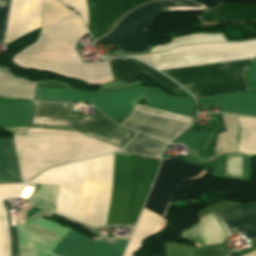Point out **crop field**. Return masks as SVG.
<instances>
[{
	"mask_svg": "<svg viewBox=\"0 0 256 256\" xmlns=\"http://www.w3.org/2000/svg\"><path fill=\"white\" fill-rule=\"evenodd\" d=\"M135 110L144 112L147 114L159 116L162 118L170 119V120L183 121V122H189V123H191V120H192V118H188V117H184V116H180V115H176V114H172V113H168V112H164V111H160L152 108H147L139 105L136 106Z\"/></svg>",
	"mask_w": 256,
	"mask_h": 256,
	"instance_id": "25",
	"label": "crop field"
},
{
	"mask_svg": "<svg viewBox=\"0 0 256 256\" xmlns=\"http://www.w3.org/2000/svg\"><path fill=\"white\" fill-rule=\"evenodd\" d=\"M202 21H255L256 5L219 4L216 9L199 15Z\"/></svg>",
	"mask_w": 256,
	"mask_h": 256,
	"instance_id": "16",
	"label": "crop field"
},
{
	"mask_svg": "<svg viewBox=\"0 0 256 256\" xmlns=\"http://www.w3.org/2000/svg\"><path fill=\"white\" fill-rule=\"evenodd\" d=\"M77 11L92 32L93 40L110 31L127 13L153 0H61Z\"/></svg>",
	"mask_w": 256,
	"mask_h": 256,
	"instance_id": "8",
	"label": "crop field"
},
{
	"mask_svg": "<svg viewBox=\"0 0 256 256\" xmlns=\"http://www.w3.org/2000/svg\"><path fill=\"white\" fill-rule=\"evenodd\" d=\"M109 63L115 80L129 78L140 72H146L150 76L156 78L157 80L169 86L174 91L181 89L179 86H177L175 83H173L171 80H169L162 74L158 73L149 66L140 63L136 60L114 59Z\"/></svg>",
	"mask_w": 256,
	"mask_h": 256,
	"instance_id": "17",
	"label": "crop field"
},
{
	"mask_svg": "<svg viewBox=\"0 0 256 256\" xmlns=\"http://www.w3.org/2000/svg\"><path fill=\"white\" fill-rule=\"evenodd\" d=\"M164 12L167 9L161 0L146 4L124 17L108 35L95 44L112 41L124 52H142L151 40L152 20Z\"/></svg>",
	"mask_w": 256,
	"mask_h": 256,
	"instance_id": "7",
	"label": "crop field"
},
{
	"mask_svg": "<svg viewBox=\"0 0 256 256\" xmlns=\"http://www.w3.org/2000/svg\"><path fill=\"white\" fill-rule=\"evenodd\" d=\"M256 40L187 45L163 53L129 56L162 70L254 58Z\"/></svg>",
	"mask_w": 256,
	"mask_h": 256,
	"instance_id": "6",
	"label": "crop field"
},
{
	"mask_svg": "<svg viewBox=\"0 0 256 256\" xmlns=\"http://www.w3.org/2000/svg\"><path fill=\"white\" fill-rule=\"evenodd\" d=\"M167 7H175V6H190V7H203L193 1L187 0H163Z\"/></svg>",
	"mask_w": 256,
	"mask_h": 256,
	"instance_id": "28",
	"label": "crop field"
},
{
	"mask_svg": "<svg viewBox=\"0 0 256 256\" xmlns=\"http://www.w3.org/2000/svg\"><path fill=\"white\" fill-rule=\"evenodd\" d=\"M44 0H12L5 44L39 27Z\"/></svg>",
	"mask_w": 256,
	"mask_h": 256,
	"instance_id": "13",
	"label": "crop field"
},
{
	"mask_svg": "<svg viewBox=\"0 0 256 256\" xmlns=\"http://www.w3.org/2000/svg\"><path fill=\"white\" fill-rule=\"evenodd\" d=\"M127 242L118 239L113 244L90 242L85 236L70 230L52 252L62 256H122Z\"/></svg>",
	"mask_w": 256,
	"mask_h": 256,
	"instance_id": "11",
	"label": "crop field"
},
{
	"mask_svg": "<svg viewBox=\"0 0 256 256\" xmlns=\"http://www.w3.org/2000/svg\"><path fill=\"white\" fill-rule=\"evenodd\" d=\"M148 107L158 108L186 116H191L193 101L168 95L159 88L146 87Z\"/></svg>",
	"mask_w": 256,
	"mask_h": 256,
	"instance_id": "18",
	"label": "crop field"
},
{
	"mask_svg": "<svg viewBox=\"0 0 256 256\" xmlns=\"http://www.w3.org/2000/svg\"><path fill=\"white\" fill-rule=\"evenodd\" d=\"M159 160L115 153L43 172L33 184L59 186L56 213L90 226L135 224Z\"/></svg>",
	"mask_w": 256,
	"mask_h": 256,
	"instance_id": "1",
	"label": "crop field"
},
{
	"mask_svg": "<svg viewBox=\"0 0 256 256\" xmlns=\"http://www.w3.org/2000/svg\"><path fill=\"white\" fill-rule=\"evenodd\" d=\"M188 256H226V254L223 248H219L207 251L188 253Z\"/></svg>",
	"mask_w": 256,
	"mask_h": 256,
	"instance_id": "29",
	"label": "crop field"
},
{
	"mask_svg": "<svg viewBox=\"0 0 256 256\" xmlns=\"http://www.w3.org/2000/svg\"><path fill=\"white\" fill-rule=\"evenodd\" d=\"M20 182L21 174L14 142L0 138V183Z\"/></svg>",
	"mask_w": 256,
	"mask_h": 256,
	"instance_id": "20",
	"label": "crop field"
},
{
	"mask_svg": "<svg viewBox=\"0 0 256 256\" xmlns=\"http://www.w3.org/2000/svg\"><path fill=\"white\" fill-rule=\"evenodd\" d=\"M213 214L227 236L241 231L246 238L256 237V204L228 207Z\"/></svg>",
	"mask_w": 256,
	"mask_h": 256,
	"instance_id": "15",
	"label": "crop field"
},
{
	"mask_svg": "<svg viewBox=\"0 0 256 256\" xmlns=\"http://www.w3.org/2000/svg\"><path fill=\"white\" fill-rule=\"evenodd\" d=\"M164 145L165 143L147 136L137 135L120 151L159 159L161 149Z\"/></svg>",
	"mask_w": 256,
	"mask_h": 256,
	"instance_id": "22",
	"label": "crop field"
},
{
	"mask_svg": "<svg viewBox=\"0 0 256 256\" xmlns=\"http://www.w3.org/2000/svg\"><path fill=\"white\" fill-rule=\"evenodd\" d=\"M209 135V132L189 129L184 134H182L178 139H176L173 143H182L188 146L189 148L202 151Z\"/></svg>",
	"mask_w": 256,
	"mask_h": 256,
	"instance_id": "24",
	"label": "crop field"
},
{
	"mask_svg": "<svg viewBox=\"0 0 256 256\" xmlns=\"http://www.w3.org/2000/svg\"><path fill=\"white\" fill-rule=\"evenodd\" d=\"M35 84L36 82L15 77L8 69L0 67V95L34 100Z\"/></svg>",
	"mask_w": 256,
	"mask_h": 256,
	"instance_id": "19",
	"label": "crop field"
},
{
	"mask_svg": "<svg viewBox=\"0 0 256 256\" xmlns=\"http://www.w3.org/2000/svg\"><path fill=\"white\" fill-rule=\"evenodd\" d=\"M10 226L12 228L13 239H14V249H13V239L11 228L5 216L4 210ZM0 201V256H12V249H13V256H18V231L17 225L14 221L13 215L9 212L6 201Z\"/></svg>",
	"mask_w": 256,
	"mask_h": 256,
	"instance_id": "21",
	"label": "crop field"
},
{
	"mask_svg": "<svg viewBox=\"0 0 256 256\" xmlns=\"http://www.w3.org/2000/svg\"><path fill=\"white\" fill-rule=\"evenodd\" d=\"M33 103L0 105V127H27ZM69 103L34 102L28 127L76 130L123 147L136 133L96 117L68 113ZM12 128L23 182L51 166L119 148L76 131Z\"/></svg>",
	"mask_w": 256,
	"mask_h": 256,
	"instance_id": "2",
	"label": "crop field"
},
{
	"mask_svg": "<svg viewBox=\"0 0 256 256\" xmlns=\"http://www.w3.org/2000/svg\"><path fill=\"white\" fill-rule=\"evenodd\" d=\"M87 33L77 14L59 0H45L38 40L15 55L12 62L81 80L112 78L107 62L82 63L74 51L76 40Z\"/></svg>",
	"mask_w": 256,
	"mask_h": 256,
	"instance_id": "3",
	"label": "crop field"
},
{
	"mask_svg": "<svg viewBox=\"0 0 256 256\" xmlns=\"http://www.w3.org/2000/svg\"><path fill=\"white\" fill-rule=\"evenodd\" d=\"M253 59L162 70L195 97L250 90L246 72Z\"/></svg>",
	"mask_w": 256,
	"mask_h": 256,
	"instance_id": "5",
	"label": "crop field"
},
{
	"mask_svg": "<svg viewBox=\"0 0 256 256\" xmlns=\"http://www.w3.org/2000/svg\"><path fill=\"white\" fill-rule=\"evenodd\" d=\"M194 1L204 4L208 9L216 7L220 2L218 0H194Z\"/></svg>",
	"mask_w": 256,
	"mask_h": 256,
	"instance_id": "30",
	"label": "crop field"
},
{
	"mask_svg": "<svg viewBox=\"0 0 256 256\" xmlns=\"http://www.w3.org/2000/svg\"><path fill=\"white\" fill-rule=\"evenodd\" d=\"M200 172V166L182 162L176 158L162 161L145 208L163 216L168 201L178 190L181 181L195 177ZM161 221V218L144 209L124 256H131L134 251L139 249L141 241L155 233Z\"/></svg>",
	"mask_w": 256,
	"mask_h": 256,
	"instance_id": "4",
	"label": "crop field"
},
{
	"mask_svg": "<svg viewBox=\"0 0 256 256\" xmlns=\"http://www.w3.org/2000/svg\"><path fill=\"white\" fill-rule=\"evenodd\" d=\"M21 188L20 184H0V199L15 197Z\"/></svg>",
	"mask_w": 256,
	"mask_h": 256,
	"instance_id": "26",
	"label": "crop field"
},
{
	"mask_svg": "<svg viewBox=\"0 0 256 256\" xmlns=\"http://www.w3.org/2000/svg\"><path fill=\"white\" fill-rule=\"evenodd\" d=\"M143 87L108 93L37 88L35 99L85 101L94 104L110 117H126L130 101L143 97Z\"/></svg>",
	"mask_w": 256,
	"mask_h": 256,
	"instance_id": "9",
	"label": "crop field"
},
{
	"mask_svg": "<svg viewBox=\"0 0 256 256\" xmlns=\"http://www.w3.org/2000/svg\"><path fill=\"white\" fill-rule=\"evenodd\" d=\"M172 42L166 44V45H160L155 46L151 50V52L156 51H164L168 49H172L177 46L186 45L190 43H198V42H221L225 41L222 37V35H216V34H204V33H196L184 37H179L175 39H171Z\"/></svg>",
	"mask_w": 256,
	"mask_h": 256,
	"instance_id": "23",
	"label": "crop field"
},
{
	"mask_svg": "<svg viewBox=\"0 0 256 256\" xmlns=\"http://www.w3.org/2000/svg\"><path fill=\"white\" fill-rule=\"evenodd\" d=\"M190 124L170 121L133 111L121 126L170 142Z\"/></svg>",
	"mask_w": 256,
	"mask_h": 256,
	"instance_id": "14",
	"label": "crop field"
},
{
	"mask_svg": "<svg viewBox=\"0 0 256 256\" xmlns=\"http://www.w3.org/2000/svg\"><path fill=\"white\" fill-rule=\"evenodd\" d=\"M9 0H0V41L6 25V15L8 13Z\"/></svg>",
	"mask_w": 256,
	"mask_h": 256,
	"instance_id": "27",
	"label": "crop field"
},
{
	"mask_svg": "<svg viewBox=\"0 0 256 256\" xmlns=\"http://www.w3.org/2000/svg\"><path fill=\"white\" fill-rule=\"evenodd\" d=\"M246 76L250 89L256 90V57ZM198 100L201 108L221 105L223 112L256 116V91L216 95Z\"/></svg>",
	"mask_w": 256,
	"mask_h": 256,
	"instance_id": "12",
	"label": "crop field"
},
{
	"mask_svg": "<svg viewBox=\"0 0 256 256\" xmlns=\"http://www.w3.org/2000/svg\"><path fill=\"white\" fill-rule=\"evenodd\" d=\"M227 132L218 135L215 156L223 152L256 154V119L223 114Z\"/></svg>",
	"mask_w": 256,
	"mask_h": 256,
	"instance_id": "10",
	"label": "crop field"
}]
</instances>
